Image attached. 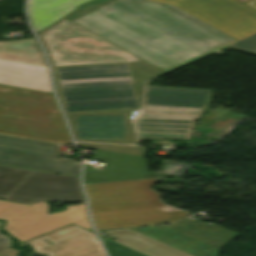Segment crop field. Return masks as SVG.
<instances>
[{
  "label": "crop field",
  "mask_w": 256,
  "mask_h": 256,
  "mask_svg": "<svg viewBox=\"0 0 256 256\" xmlns=\"http://www.w3.org/2000/svg\"><path fill=\"white\" fill-rule=\"evenodd\" d=\"M37 34L66 112L128 114L144 81L164 73L65 18Z\"/></svg>",
  "instance_id": "obj_1"
},
{
  "label": "crop field",
  "mask_w": 256,
  "mask_h": 256,
  "mask_svg": "<svg viewBox=\"0 0 256 256\" xmlns=\"http://www.w3.org/2000/svg\"><path fill=\"white\" fill-rule=\"evenodd\" d=\"M167 72L237 40L173 5L95 0L65 17Z\"/></svg>",
  "instance_id": "obj_2"
},
{
  "label": "crop field",
  "mask_w": 256,
  "mask_h": 256,
  "mask_svg": "<svg viewBox=\"0 0 256 256\" xmlns=\"http://www.w3.org/2000/svg\"><path fill=\"white\" fill-rule=\"evenodd\" d=\"M157 180L85 185L97 229L168 223L188 211L163 213L159 194L149 189Z\"/></svg>",
  "instance_id": "obj_3"
},
{
  "label": "crop field",
  "mask_w": 256,
  "mask_h": 256,
  "mask_svg": "<svg viewBox=\"0 0 256 256\" xmlns=\"http://www.w3.org/2000/svg\"><path fill=\"white\" fill-rule=\"evenodd\" d=\"M0 134L70 143L50 93L0 85Z\"/></svg>",
  "instance_id": "obj_4"
},
{
  "label": "crop field",
  "mask_w": 256,
  "mask_h": 256,
  "mask_svg": "<svg viewBox=\"0 0 256 256\" xmlns=\"http://www.w3.org/2000/svg\"><path fill=\"white\" fill-rule=\"evenodd\" d=\"M0 197L17 203L84 201L77 177L4 166H0Z\"/></svg>",
  "instance_id": "obj_5"
},
{
  "label": "crop field",
  "mask_w": 256,
  "mask_h": 256,
  "mask_svg": "<svg viewBox=\"0 0 256 256\" xmlns=\"http://www.w3.org/2000/svg\"><path fill=\"white\" fill-rule=\"evenodd\" d=\"M65 207V211L49 215L45 202L20 205L0 201V219L7 221L5 230L21 242L70 223L92 231L85 214V203Z\"/></svg>",
  "instance_id": "obj_6"
},
{
  "label": "crop field",
  "mask_w": 256,
  "mask_h": 256,
  "mask_svg": "<svg viewBox=\"0 0 256 256\" xmlns=\"http://www.w3.org/2000/svg\"><path fill=\"white\" fill-rule=\"evenodd\" d=\"M211 93V90L146 86L138 120L194 125L210 106Z\"/></svg>",
  "instance_id": "obj_7"
},
{
  "label": "crop field",
  "mask_w": 256,
  "mask_h": 256,
  "mask_svg": "<svg viewBox=\"0 0 256 256\" xmlns=\"http://www.w3.org/2000/svg\"><path fill=\"white\" fill-rule=\"evenodd\" d=\"M36 41L0 42V84L52 93L48 68Z\"/></svg>",
  "instance_id": "obj_8"
},
{
  "label": "crop field",
  "mask_w": 256,
  "mask_h": 256,
  "mask_svg": "<svg viewBox=\"0 0 256 256\" xmlns=\"http://www.w3.org/2000/svg\"><path fill=\"white\" fill-rule=\"evenodd\" d=\"M170 3L238 41L256 33V11L236 0H153Z\"/></svg>",
  "instance_id": "obj_9"
},
{
  "label": "crop field",
  "mask_w": 256,
  "mask_h": 256,
  "mask_svg": "<svg viewBox=\"0 0 256 256\" xmlns=\"http://www.w3.org/2000/svg\"><path fill=\"white\" fill-rule=\"evenodd\" d=\"M59 145L0 135V164L79 176L80 163L58 159Z\"/></svg>",
  "instance_id": "obj_10"
},
{
  "label": "crop field",
  "mask_w": 256,
  "mask_h": 256,
  "mask_svg": "<svg viewBox=\"0 0 256 256\" xmlns=\"http://www.w3.org/2000/svg\"><path fill=\"white\" fill-rule=\"evenodd\" d=\"M92 159L105 163L103 172L85 166V183L182 175L191 165L163 161L160 173L147 172L144 157L96 150Z\"/></svg>",
  "instance_id": "obj_11"
},
{
  "label": "crop field",
  "mask_w": 256,
  "mask_h": 256,
  "mask_svg": "<svg viewBox=\"0 0 256 256\" xmlns=\"http://www.w3.org/2000/svg\"><path fill=\"white\" fill-rule=\"evenodd\" d=\"M76 140L133 143L127 115L66 113Z\"/></svg>",
  "instance_id": "obj_12"
},
{
  "label": "crop field",
  "mask_w": 256,
  "mask_h": 256,
  "mask_svg": "<svg viewBox=\"0 0 256 256\" xmlns=\"http://www.w3.org/2000/svg\"><path fill=\"white\" fill-rule=\"evenodd\" d=\"M47 238L53 245L41 240ZM35 253L48 256H105L94 233L70 225L28 241Z\"/></svg>",
  "instance_id": "obj_13"
},
{
  "label": "crop field",
  "mask_w": 256,
  "mask_h": 256,
  "mask_svg": "<svg viewBox=\"0 0 256 256\" xmlns=\"http://www.w3.org/2000/svg\"><path fill=\"white\" fill-rule=\"evenodd\" d=\"M90 0H29L28 15L36 32Z\"/></svg>",
  "instance_id": "obj_14"
},
{
  "label": "crop field",
  "mask_w": 256,
  "mask_h": 256,
  "mask_svg": "<svg viewBox=\"0 0 256 256\" xmlns=\"http://www.w3.org/2000/svg\"><path fill=\"white\" fill-rule=\"evenodd\" d=\"M117 238L115 242L130 247L148 256H192L173 247L145 237L133 230L103 231Z\"/></svg>",
  "instance_id": "obj_15"
},
{
  "label": "crop field",
  "mask_w": 256,
  "mask_h": 256,
  "mask_svg": "<svg viewBox=\"0 0 256 256\" xmlns=\"http://www.w3.org/2000/svg\"><path fill=\"white\" fill-rule=\"evenodd\" d=\"M138 138L189 140L194 126L134 122Z\"/></svg>",
  "instance_id": "obj_16"
},
{
  "label": "crop field",
  "mask_w": 256,
  "mask_h": 256,
  "mask_svg": "<svg viewBox=\"0 0 256 256\" xmlns=\"http://www.w3.org/2000/svg\"><path fill=\"white\" fill-rule=\"evenodd\" d=\"M79 146H84L93 149L118 152L130 155L144 156L147 149L146 147H134V146H119V145H106V144H89V143H78Z\"/></svg>",
  "instance_id": "obj_17"
},
{
  "label": "crop field",
  "mask_w": 256,
  "mask_h": 256,
  "mask_svg": "<svg viewBox=\"0 0 256 256\" xmlns=\"http://www.w3.org/2000/svg\"><path fill=\"white\" fill-rule=\"evenodd\" d=\"M110 256H146L123 245L101 237Z\"/></svg>",
  "instance_id": "obj_18"
},
{
  "label": "crop field",
  "mask_w": 256,
  "mask_h": 256,
  "mask_svg": "<svg viewBox=\"0 0 256 256\" xmlns=\"http://www.w3.org/2000/svg\"><path fill=\"white\" fill-rule=\"evenodd\" d=\"M229 48L256 53V34L229 46Z\"/></svg>",
  "instance_id": "obj_19"
},
{
  "label": "crop field",
  "mask_w": 256,
  "mask_h": 256,
  "mask_svg": "<svg viewBox=\"0 0 256 256\" xmlns=\"http://www.w3.org/2000/svg\"><path fill=\"white\" fill-rule=\"evenodd\" d=\"M10 247V239L0 233V251Z\"/></svg>",
  "instance_id": "obj_20"
},
{
  "label": "crop field",
  "mask_w": 256,
  "mask_h": 256,
  "mask_svg": "<svg viewBox=\"0 0 256 256\" xmlns=\"http://www.w3.org/2000/svg\"><path fill=\"white\" fill-rule=\"evenodd\" d=\"M16 253V250L9 248L7 250L0 252V256H16Z\"/></svg>",
  "instance_id": "obj_21"
},
{
  "label": "crop field",
  "mask_w": 256,
  "mask_h": 256,
  "mask_svg": "<svg viewBox=\"0 0 256 256\" xmlns=\"http://www.w3.org/2000/svg\"><path fill=\"white\" fill-rule=\"evenodd\" d=\"M159 209H161L163 212L178 211L177 209H174V208L166 206V205L164 207L159 208Z\"/></svg>",
  "instance_id": "obj_22"
},
{
  "label": "crop field",
  "mask_w": 256,
  "mask_h": 256,
  "mask_svg": "<svg viewBox=\"0 0 256 256\" xmlns=\"http://www.w3.org/2000/svg\"><path fill=\"white\" fill-rule=\"evenodd\" d=\"M244 3L256 9V0H251Z\"/></svg>",
  "instance_id": "obj_23"
},
{
  "label": "crop field",
  "mask_w": 256,
  "mask_h": 256,
  "mask_svg": "<svg viewBox=\"0 0 256 256\" xmlns=\"http://www.w3.org/2000/svg\"><path fill=\"white\" fill-rule=\"evenodd\" d=\"M238 1L243 2V1H246V0H238Z\"/></svg>",
  "instance_id": "obj_24"
}]
</instances>
